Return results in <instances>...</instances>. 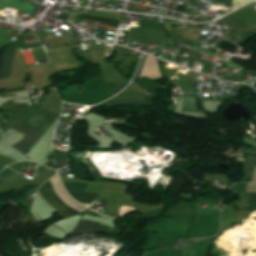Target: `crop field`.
Returning a JSON list of instances; mask_svg holds the SVG:
<instances>
[{
	"instance_id": "crop-field-1",
	"label": "crop field",
	"mask_w": 256,
	"mask_h": 256,
	"mask_svg": "<svg viewBox=\"0 0 256 256\" xmlns=\"http://www.w3.org/2000/svg\"><path fill=\"white\" fill-rule=\"evenodd\" d=\"M56 194L59 196L61 200H63L66 204H68L70 207L78 210L83 211L86 208L82 207L80 204L74 202L68 194L65 192L60 180L58 179L57 175L53 178L49 179ZM56 200L57 202L71 215H77L79 212L75 211L74 209L70 208L68 205H66L64 202H62L58 196L55 194L54 190L52 189L49 181L45 182L42 185ZM40 187L38 190V194L40 197L56 212H59L62 214L63 218L70 217V215L56 202V200L43 188Z\"/></svg>"
},
{
	"instance_id": "crop-field-11",
	"label": "crop field",
	"mask_w": 256,
	"mask_h": 256,
	"mask_svg": "<svg viewBox=\"0 0 256 256\" xmlns=\"http://www.w3.org/2000/svg\"><path fill=\"white\" fill-rule=\"evenodd\" d=\"M145 57H146V56L144 55V57H143V59H142V61H141V64H140V66H139V69H138V71H137V73H136V76H135L133 82L136 83L139 87H141V88L144 89V90L156 91L157 88L152 87V86H149V85H147V84H144V83H141V82L137 81L138 76H139V73H140L141 68H142V65H143V62H144V60H145Z\"/></svg>"
},
{
	"instance_id": "crop-field-2",
	"label": "crop field",
	"mask_w": 256,
	"mask_h": 256,
	"mask_svg": "<svg viewBox=\"0 0 256 256\" xmlns=\"http://www.w3.org/2000/svg\"><path fill=\"white\" fill-rule=\"evenodd\" d=\"M10 128L35 140H38L42 136V133L22 126L20 124L14 123L12 121L10 123ZM26 136H24L19 142L11 146L23 155H25L28 150L37 142Z\"/></svg>"
},
{
	"instance_id": "crop-field-4",
	"label": "crop field",
	"mask_w": 256,
	"mask_h": 256,
	"mask_svg": "<svg viewBox=\"0 0 256 256\" xmlns=\"http://www.w3.org/2000/svg\"><path fill=\"white\" fill-rule=\"evenodd\" d=\"M140 77L160 79V72L154 58L146 57Z\"/></svg>"
},
{
	"instance_id": "crop-field-15",
	"label": "crop field",
	"mask_w": 256,
	"mask_h": 256,
	"mask_svg": "<svg viewBox=\"0 0 256 256\" xmlns=\"http://www.w3.org/2000/svg\"><path fill=\"white\" fill-rule=\"evenodd\" d=\"M215 5L222 7H232V0H215Z\"/></svg>"
},
{
	"instance_id": "crop-field-13",
	"label": "crop field",
	"mask_w": 256,
	"mask_h": 256,
	"mask_svg": "<svg viewBox=\"0 0 256 256\" xmlns=\"http://www.w3.org/2000/svg\"><path fill=\"white\" fill-rule=\"evenodd\" d=\"M66 191H83L86 184L81 183H63Z\"/></svg>"
},
{
	"instance_id": "crop-field-18",
	"label": "crop field",
	"mask_w": 256,
	"mask_h": 256,
	"mask_svg": "<svg viewBox=\"0 0 256 256\" xmlns=\"http://www.w3.org/2000/svg\"><path fill=\"white\" fill-rule=\"evenodd\" d=\"M246 183H237L232 186V190L244 191Z\"/></svg>"
},
{
	"instance_id": "crop-field-9",
	"label": "crop field",
	"mask_w": 256,
	"mask_h": 256,
	"mask_svg": "<svg viewBox=\"0 0 256 256\" xmlns=\"http://www.w3.org/2000/svg\"><path fill=\"white\" fill-rule=\"evenodd\" d=\"M82 19L96 21V22H102V23L116 24V25H118V22H119V20L113 19V18L92 16V15H85V14H83Z\"/></svg>"
},
{
	"instance_id": "crop-field-3",
	"label": "crop field",
	"mask_w": 256,
	"mask_h": 256,
	"mask_svg": "<svg viewBox=\"0 0 256 256\" xmlns=\"http://www.w3.org/2000/svg\"><path fill=\"white\" fill-rule=\"evenodd\" d=\"M4 48H5V44H3L2 48H1L0 64H1L2 56H3ZM14 49H15L14 46H12L10 44H6V48L4 50V57H3L2 65H1V69H0V78L9 77L10 66H11V62H12V58H13V54H14Z\"/></svg>"
},
{
	"instance_id": "crop-field-10",
	"label": "crop field",
	"mask_w": 256,
	"mask_h": 256,
	"mask_svg": "<svg viewBox=\"0 0 256 256\" xmlns=\"http://www.w3.org/2000/svg\"><path fill=\"white\" fill-rule=\"evenodd\" d=\"M75 178H87L83 169L75 163L66 166Z\"/></svg>"
},
{
	"instance_id": "crop-field-20",
	"label": "crop field",
	"mask_w": 256,
	"mask_h": 256,
	"mask_svg": "<svg viewBox=\"0 0 256 256\" xmlns=\"http://www.w3.org/2000/svg\"><path fill=\"white\" fill-rule=\"evenodd\" d=\"M252 181H256V166H255L254 176H253V180Z\"/></svg>"
},
{
	"instance_id": "crop-field-5",
	"label": "crop field",
	"mask_w": 256,
	"mask_h": 256,
	"mask_svg": "<svg viewBox=\"0 0 256 256\" xmlns=\"http://www.w3.org/2000/svg\"><path fill=\"white\" fill-rule=\"evenodd\" d=\"M103 226H104L103 224L80 220L77 228L74 230L73 233L85 234V233H96L98 231L101 232Z\"/></svg>"
},
{
	"instance_id": "crop-field-19",
	"label": "crop field",
	"mask_w": 256,
	"mask_h": 256,
	"mask_svg": "<svg viewBox=\"0 0 256 256\" xmlns=\"http://www.w3.org/2000/svg\"><path fill=\"white\" fill-rule=\"evenodd\" d=\"M245 191L256 192V184L247 183Z\"/></svg>"
},
{
	"instance_id": "crop-field-6",
	"label": "crop field",
	"mask_w": 256,
	"mask_h": 256,
	"mask_svg": "<svg viewBox=\"0 0 256 256\" xmlns=\"http://www.w3.org/2000/svg\"><path fill=\"white\" fill-rule=\"evenodd\" d=\"M69 194L81 203L91 204L97 194L69 192Z\"/></svg>"
},
{
	"instance_id": "crop-field-14",
	"label": "crop field",
	"mask_w": 256,
	"mask_h": 256,
	"mask_svg": "<svg viewBox=\"0 0 256 256\" xmlns=\"http://www.w3.org/2000/svg\"><path fill=\"white\" fill-rule=\"evenodd\" d=\"M14 173H16V172H14L8 168L4 169L2 172H0V183L2 181H4L5 179H7L8 177H10L11 175H13Z\"/></svg>"
},
{
	"instance_id": "crop-field-12",
	"label": "crop field",
	"mask_w": 256,
	"mask_h": 256,
	"mask_svg": "<svg viewBox=\"0 0 256 256\" xmlns=\"http://www.w3.org/2000/svg\"><path fill=\"white\" fill-rule=\"evenodd\" d=\"M117 105H142L147 106L146 102L133 101V100H111V106Z\"/></svg>"
},
{
	"instance_id": "crop-field-8",
	"label": "crop field",
	"mask_w": 256,
	"mask_h": 256,
	"mask_svg": "<svg viewBox=\"0 0 256 256\" xmlns=\"http://www.w3.org/2000/svg\"><path fill=\"white\" fill-rule=\"evenodd\" d=\"M182 99H183L182 111L200 112L196 106L195 97H182Z\"/></svg>"
},
{
	"instance_id": "crop-field-16",
	"label": "crop field",
	"mask_w": 256,
	"mask_h": 256,
	"mask_svg": "<svg viewBox=\"0 0 256 256\" xmlns=\"http://www.w3.org/2000/svg\"><path fill=\"white\" fill-rule=\"evenodd\" d=\"M256 206V194L250 193V205H249V213Z\"/></svg>"
},
{
	"instance_id": "crop-field-17",
	"label": "crop field",
	"mask_w": 256,
	"mask_h": 256,
	"mask_svg": "<svg viewBox=\"0 0 256 256\" xmlns=\"http://www.w3.org/2000/svg\"><path fill=\"white\" fill-rule=\"evenodd\" d=\"M124 86L116 85V84H110L111 93H118L120 90H122Z\"/></svg>"
},
{
	"instance_id": "crop-field-21",
	"label": "crop field",
	"mask_w": 256,
	"mask_h": 256,
	"mask_svg": "<svg viewBox=\"0 0 256 256\" xmlns=\"http://www.w3.org/2000/svg\"><path fill=\"white\" fill-rule=\"evenodd\" d=\"M3 168H5V167H0V170L3 169Z\"/></svg>"
},
{
	"instance_id": "crop-field-7",
	"label": "crop field",
	"mask_w": 256,
	"mask_h": 256,
	"mask_svg": "<svg viewBox=\"0 0 256 256\" xmlns=\"http://www.w3.org/2000/svg\"><path fill=\"white\" fill-rule=\"evenodd\" d=\"M254 165H256V157L246 156L243 172L252 180Z\"/></svg>"
}]
</instances>
